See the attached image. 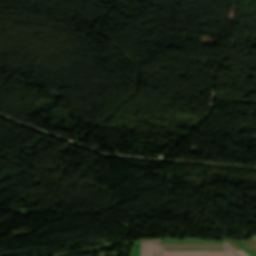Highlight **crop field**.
I'll return each instance as SVG.
<instances>
[{"label":"crop field","mask_w":256,"mask_h":256,"mask_svg":"<svg viewBox=\"0 0 256 256\" xmlns=\"http://www.w3.org/2000/svg\"><path fill=\"white\" fill-rule=\"evenodd\" d=\"M164 256H233L222 245H161Z\"/></svg>","instance_id":"1"},{"label":"crop field","mask_w":256,"mask_h":256,"mask_svg":"<svg viewBox=\"0 0 256 256\" xmlns=\"http://www.w3.org/2000/svg\"><path fill=\"white\" fill-rule=\"evenodd\" d=\"M157 242L142 244L141 256H155ZM156 256H162L160 253V242L157 245Z\"/></svg>","instance_id":"2"},{"label":"crop field","mask_w":256,"mask_h":256,"mask_svg":"<svg viewBox=\"0 0 256 256\" xmlns=\"http://www.w3.org/2000/svg\"><path fill=\"white\" fill-rule=\"evenodd\" d=\"M223 243H224V245L226 246V247H228L233 253H235L237 256H242L240 253H238L235 249H234V247L231 245V243H229V242H225V241H223Z\"/></svg>","instance_id":"3"},{"label":"crop field","mask_w":256,"mask_h":256,"mask_svg":"<svg viewBox=\"0 0 256 256\" xmlns=\"http://www.w3.org/2000/svg\"><path fill=\"white\" fill-rule=\"evenodd\" d=\"M239 252L242 253L244 256H248L244 251H239Z\"/></svg>","instance_id":"4"},{"label":"crop field","mask_w":256,"mask_h":256,"mask_svg":"<svg viewBox=\"0 0 256 256\" xmlns=\"http://www.w3.org/2000/svg\"><path fill=\"white\" fill-rule=\"evenodd\" d=\"M254 238L256 239V236H254Z\"/></svg>","instance_id":"5"}]
</instances>
